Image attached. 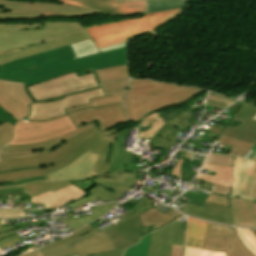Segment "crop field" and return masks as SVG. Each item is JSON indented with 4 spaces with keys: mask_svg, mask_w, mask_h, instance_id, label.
<instances>
[{
    "mask_svg": "<svg viewBox=\"0 0 256 256\" xmlns=\"http://www.w3.org/2000/svg\"><path fill=\"white\" fill-rule=\"evenodd\" d=\"M110 146L95 127L64 141L44 155L1 161L0 171L5 172L0 173V186L49 180L47 174L68 165L86 151L108 158Z\"/></svg>",
    "mask_w": 256,
    "mask_h": 256,
    "instance_id": "crop-field-1",
    "label": "crop field"
},
{
    "mask_svg": "<svg viewBox=\"0 0 256 256\" xmlns=\"http://www.w3.org/2000/svg\"><path fill=\"white\" fill-rule=\"evenodd\" d=\"M89 38L80 23L0 24V64Z\"/></svg>",
    "mask_w": 256,
    "mask_h": 256,
    "instance_id": "crop-field-2",
    "label": "crop field"
},
{
    "mask_svg": "<svg viewBox=\"0 0 256 256\" xmlns=\"http://www.w3.org/2000/svg\"><path fill=\"white\" fill-rule=\"evenodd\" d=\"M203 91L205 90L132 79L124 102L126 113L130 120L138 122L148 113L160 111L161 108L172 104L186 102Z\"/></svg>",
    "mask_w": 256,
    "mask_h": 256,
    "instance_id": "crop-field-3",
    "label": "crop field"
},
{
    "mask_svg": "<svg viewBox=\"0 0 256 256\" xmlns=\"http://www.w3.org/2000/svg\"><path fill=\"white\" fill-rule=\"evenodd\" d=\"M142 225L139 217L130 219L108 231H96L77 240L65 243L44 252L36 250L24 256H87L113 249L128 247L139 242Z\"/></svg>",
    "mask_w": 256,
    "mask_h": 256,
    "instance_id": "crop-field-4",
    "label": "crop field"
},
{
    "mask_svg": "<svg viewBox=\"0 0 256 256\" xmlns=\"http://www.w3.org/2000/svg\"><path fill=\"white\" fill-rule=\"evenodd\" d=\"M180 10L176 9L156 14H145L141 18L95 25L86 29L99 49L151 32L177 15Z\"/></svg>",
    "mask_w": 256,
    "mask_h": 256,
    "instance_id": "crop-field-5",
    "label": "crop field"
},
{
    "mask_svg": "<svg viewBox=\"0 0 256 256\" xmlns=\"http://www.w3.org/2000/svg\"><path fill=\"white\" fill-rule=\"evenodd\" d=\"M125 57L126 47L93 56H88L78 60L60 63L54 66L47 67L39 72H36L32 75L25 77L24 85L28 86L34 83L50 79L52 77H55L66 72L86 69L90 67H93L94 70H97L124 65L127 64Z\"/></svg>",
    "mask_w": 256,
    "mask_h": 256,
    "instance_id": "crop-field-6",
    "label": "crop field"
},
{
    "mask_svg": "<svg viewBox=\"0 0 256 256\" xmlns=\"http://www.w3.org/2000/svg\"><path fill=\"white\" fill-rule=\"evenodd\" d=\"M76 59L70 45L3 64L1 80L23 83V77L47 66Z\"/></svg>",
    "mask_w": 256,
    "mask_h": 256,
    "instance_id": "crop-field-7",
    "label": "crop field"
},
{
    "mask_svg": "<svg viewBox=\"0 0 256 256\" xmlns=\"http://www.w3.org/2000/svg\"><path fill=\"white\" fill-rule=\"evenodd\" d=\"M185 225L177 220L171 225L144 236L127 249L124 256H170L172 245H184Z\"/></svg>",
    "mask_w": 256,
    "mask_h": 256,
    "instance_id": "crop-field-8",
    "label": "crop field"
},
{
    "mask_svg": "<svg viewBox=\"0 0 256 256\" xmlns=\"http://www.w3.org/2000/svg\"><path fill=\"white\" fill-rule=\"evenodd\" d=\"M73 130L76 127L67 115L48 122H29L23 119L16 124L14 138L8 145L44 142Z\"/></svg>",
    "mask_w": 256,
    "mask_h": 256,
    "instance_id": "crop-field-9",
    "label": "crop field"
},
{
    "mask_svg": "<svg viewBox=\"0 0 256 256\" xmlns=\"http://www.w3.org/2000/svg\"><path fill=\"white\" fill-rule=\"evenodd\" d=\"M97 85L99 84L94 74L77 78L75 73H71L36 86L28 87V90L34 100L39 101L94 88Z\"/></svg>",
    "mask_w": 256,
    "mask_h": 256,
    "instance_id": "crop-field-10",
    "label": "crop field"
},
{
    "mask_svg": "<svg viewBox=\"0 0 256 256\" xmlns=\"http://www.w3.org/2000/svg\"><path fill=\"white\" fill-rule=\"evenodd\" d=\"M102 89L88 91L63 97L62 100L49 103H36L29 106L30 115L26 117L29 121H48L66 115L64 109L88 104L89 99L103 97Z\"/></svg>",
    "mask_w": 256,
    "mask_h": 256,
    "instance_id": "crop-field-11",
    "label": "crop field"
},
{
    "mask_svg": "<svg viewBox=\"0 0 256 256\" xmlns=\"http://www.w3.org/2000/svg\"><path fill=\"white\" fill-rule=\"evenodd\" d=\"M74 124L81 125L96 121L100 131L129 122L124 112L123 103L93 109L92 107L68 113Z\"/></svg>",
    "mask_w": 256,
    "mask_h": 256,
    "instance_id": "crop-field-12",
    "label": "crop field"
},
{
    "mask_svg": "<svg viewBox=\"0 0 256 256\" xmlns=\"http://www.w3.org/2000/svg\"><path fill=\"white\" fill-rule=\"evenodd\" d=\"M202 249L227 252V256H253L232 227L210 224Z\"/></svg>",
    "mask_w": 256,
    "mask_h": 256,
    "instance_id": "crop-field-13",
    "label": "crop field"
},
{
    "mask_svg": "<svg viewBox=\"0 0 256 256\" xmlns=\"http://www.w3.org/2000/svg\"><path fill=\"white\" fill-rule=\"evenodd\" d=\"M137 130L138 127L130 128ZM129 129L119 132L116 145L111 146L109 159L101 158L99 156L94 171L97 176L107 173L111 170L125 169L129 171H135L132 163L138 162L136 155L129 150L124 149L125 139L128 136ZM113 160V162H111Z\"/></svg>",
    "mask_w": 256,
    "mask_h": 256,
    "instance_id": "crop-field-14",
    "label": "crop field"
},
{
    "mask_svg": "<svg viewBox=\"0 0 256 256\" xmlns=\"http://www.w3.org/2000/svg\"><path fill=\"white\" fill-rule=\"evenodd\" d=\"M231 196L256 201V161L235 157Z\"/></svg>",
    "mask_w": 256,
    "mask_h": 256,
    "instance_id": "crop-field-15",
    "label": "crop field"
},
{
    "mask_svg": "<svg viewBox=\"0 0 256 256\" xmlns=\"http://www.w3.org/2000/svg\"><path fill=\"white\" fill-rule=\"evenodd\" d=\"M28 103H33L24 85L0 80V106L15 120L28 114Z\"/></svg>",
    "mask_w": 256,
    "mask_h": 256,
    "instance_id": "crop-field-16",
    "label": "crop field"
},
{
    "mask_svg": "<svg viewBox=\"0 0 256 256\" xmlns=\"http://www.w3.org/2000/svg\"><path fill=\"white\" fill-rule=\"evenodd\" d=\"M63 3L90 8L113 14L148 13L145 0H59Z\"/></svg>",
    "mask_w": 256,
    "mask_h": 256,
    "instance_id": "crop-field-17",
    "label": "crop field"
},
{
    "mask_svg": "<svg viewBox=\"0 0 256 256\" xmlns=\"http://www.w3.org/2000/svg\"><path fill=\"white\" fill-rule=\"evenodd\" d=\"M255 115L256 106L244 102L232 119L242 124H236L235 127L228 126L222 135L256 144V121L252 120Z\"/></svg>",
    "mask_w": 256,
    "mask_h": 256,
    "instance_id": "crop-field-18",
    "label": "crop field"
},
{
    "mask_svg": "<svg viewBox=\"0 0 256 256\" xmlns=\"http://www.w3.org/2000/svg\"><path fill=\"white\" fill-rule=\"evenodd\" d=\"M98 155L86 152L70 165L49 174L51 180H84L96 175L93 172Z\"/></svg>",
    "mask_w": 256,
    "mask_h": 256,
    "instance_id": "crop-field-19",
    "label": "crop field"
},
{
    "mask_svg": "<svg viewBox=\"0 0 256 256\" xmlns=\"http://www.w3.org/2000/svg\"><path fill=\"white\" fill-rule=\"evenodd\" d=\"M208 224V222L189 217L187 224L185 256H226V253L223 252L201 250L205 234L208 229Z\"/></svg>",
    "mask_w": 256,
    "mask_h": 256,
    "instance_id": "crop-field-20",
    "label": "crop field"
},
{
    "mask_svg": "<svg viewBox=\"0 0 256 256\" xmlns=\"http://www.w3.org/2000/svg\"><path fill=\"white\" fill-rule=\"evenodd\" d=\"M87 195H89L87 192L72 184L55 193L50 191L38 197L30 198L29 201L31 204H44V208L52 210Z\"/></svg>",
    "mask_w": 256,
    "mask_h": 256,
    "instance_id": "crop-field-21",
    "label": "crop field"
},
{
    "mask_svg": "<svg viewBox=\"0 0 256 256\" xmlns=\"http://www.w3.org/2000/svg\"><path fill=\"white\" fill-rule=\"evenodd\" d=\"M184 108L179 110L169 109L168 111L151 113L147 115L143 120L138 122L140 125V130L137 138L149 139L148 143L151 144L156 135L169 125L166 122L175 117Z\"/></svg>",
    "mask_w": 256,
    "mask_h": 256,
    "instance_id": "crop-field-22",
    "label": "crop field"
},
{
    "mask_svg": "<svg viewBox=\"0 0 256 256\" xmlns=\"http://www.w3.org/2000/svg\"><path fill=\"white\" fill-rule=\"evenodd\" d=\"M183 212L198 218L231 225L230 208L204 203L203 207L188 203L181 209Z\"/></svg>",
    "mask_w": 256,
    "mask_h": 256,
    "instance_id": "crop-field-23",
    "label": "crop field"
},
{
    "mask_svg": "<svg viewBox=\"0 0 256 256\" xmlns=\"http://www.w3.org/2000/svg\"><path fill=\"white\" fill-rule=\"evenodd\" d=\"M128 82L129 80H122V81L103 84L101 85V87L103 88V91L106 97L90 100L91 104L89 105L66 109V111L68 112V111L86 108L90 106H93L94 108H96L100 106L122 102V99L124 98V89L126 88Z\"/></svg>",
    "mask_w": 256,
    "mask_h": 256,
    "instance_id": "crop-field-24",
    "label": "crop field"
},
{
    "mask_svg": "<svg viewBox=\"0 0 256 256\" xmlns=\"http://www.w3.org/2000/svg\"><path fill=\"white\" fill-rule=\"evenodd\" d=\"M234 225L256 227V203L231 197Z\"/></svg>",
    "mask_w": 256,
    "mask_h": 256,
    "instance_id": "crop-field-25",
    "label": "crop field"
},
{
    "mask_svg": "<svg viewBox=\"0 0 256 256\" xmlns=\"http://www.w3.org/2000/svg\"><path fill=\"white\" fill-rule=\"evenodd\" d=\"M181 216H183V215L172 210V209H170L169 211H167L164 214L154 208V209L140 215V218H141V221L143 224L141 236L148 233L149 226H153L156 224V228L158 230L161 227L165 226L166 224L180 218Z\"/></svg>",
    "mask_w": 256,
    "mask_h": 256,
    "instance_id": "crop-field-26",
    "label": "crop field"
},
{
    "mask_svg": "<svg viewBox=\"0 0 256 256\" xmlns=\"http://www.w3.org/2000/svg\"><path fill=\"white\" fill-rule=\"evenodd\" d=\"M0 6L11 11L58 12L60 5L46 2H14L0 0Z\"/></svg>",
    "mask_w": 256,
    "mask_h": 256,
    "instance_id": "crop-field-27",
    "label": "crop field"
},
{
    "mask_svg": "<svg viewBox=\"0 0 256 256\" xmlns=\"http://www.w3.org/2000/svg\"><path fill=\"white\" fill-rule=\"evenodd\" d=\"M96 122L94 123H90V124H86V125H82V126H78L76 131L70 132L68 134L59 136L57 138H54V143L51 144L50 146H48L47 148L40 150V151H36V152H18V153H5L3 151H1L0 153V160H5V159H15V158H21V157H28V156H35V155H40L43 154L53 148H55L57 145H59L62 141L82 132L85 131L87 129H90L92 127H95ZM58 147V146H57Z\"/></svg>",
    "mask_w": 256,
    "mask_h": 256,
    "instance_id": "crop-field-28",
    "label": "crop field"
},
{
    "mask_svg": "<svg viewBox=\"0 0 256 256\" xmlns=\"http://www.w3.org/2000/svg\"><path fill=\"white\" fill-rule=\"evenodd\" d=\"M232 168L233 167L229 166L205 163L203 169L215 171L217 172V174L215 177H213L208 174L199 173L197 179L206 180L215 184L231 188Z\"/></svg>",
    "mask_w": 256,
    "mask_h": 256,
    "instance_id": "crop-field-29",
    "label": "crop field"
},
{
    "mask_svg": "<svg viewBox=\"0 0 256 256\" xmlns=\"http://www.w3.org/2000/svg\"><path fill=\"white\" fill-rule=\"evenodd\" d=\"M87 192H89L91 195L86 198H82L67 204L69 208L72 209L98 199H101L103 202L118 201L119 200L118 198L121 197V195L113 193L99 185L95 186L94 188L90 189Z\"/></svg>",
    "mask_w": 256,
    "mask_h": 256,
    "instance_id": "crop-field-30",
    "label": "crop field"
},
{
    "mask_svg": "<svg viewBox=\"0 0 256 256\" xmlns=\"http://www.w3.org/2000/svg\"><path fill=\"white\" fill-rule=\"evenodd\" d=\"M72 184L71 182H33L22 187L25 190L27 198L38 196L45 192L52 190L53 192L62 189L68 185Z\"/></svg>",
    "mask_w": 256,
    "mask_h": 256,
    "instance_id": "crop-field-31",
    "label": "crop field"
},
{
    "mask_svg": "<svg viewBox=\"0 0 256 256\" xmlns=\"http://www.w3.org/2000/svg\"><path fill=\"white\" fill-rule=\"evenodd\" d=\"M181 132L185 134V130H180L172 125H169L152 143V147L169 149L174 142L181 144L183 141L176 139V135Z\"/></svg>",
    "mask_w": 256,
    "mask_h": 256,
    "instance_id": "crop-field-32",
    "label": "crop field"
},
{
    "mask_svg": "<svg viewBox=\"0 0 256 256\" xmlns=\"http://www.w3.org/2000/svg\"><path fill=\"white\" fill-rule=\"evenodd\" d=\"M91 14H103V15H110V16H127V15L106 14V13L85 9L81 7H76L72 5H66L62 3L59 13H44V17L60 16V17L74 18L78 16L91 15Z\"/></svg>",
    "mask_w": 256,
    "mask_h": 256,
    "instance_id": "crop-field-33",
    "label": "crop field"
},
{
    "mask_svg": "<svg viewBox=\"0 0 256 256\" xmlns=\"http://www.w3.org/2000/svg\"><path fill=\"white\" fill-rule=\"evenodd\" d=\"M118 205H120V204L101 205L99 207H96V208L92 209L93 213L95 214L93 216H89V217L82 218V219H66L64 221L67 224V226L74 232L75 230L79 229L80 227H82V226L94 221L95 219L101 217L102 215L107 213L109 210H111L112 208H114Z\"/></svg>",
    "mask_w": 256,
    "mask_h": 256,
    "instance_id": "crop-field-34",
    "label": "crop field"
},
{
    "mask_svg": "<svg viewBox=\"0 0 256 256\" xmlns=\"http://www.w3.org/2000/svg\"><path fill=\"white\" fill-rule=\"evenodd\" d=\"M124 46H126V42L97 50L91 39L83 41V42L71 44V47H72L73 51L75 52L77 59L84 57V56H88V55H92V54H96V53H100V52H105V51H108L111 49L124 47Z\"/></svg>",
    "mask_w": 256,
    "mask_h": 256,
    "instance_id": "crop-field-35",
    "label": "crop field"
},
{
    "mask_svg": "<svg viewBox=\"0 0 256 256\" xmlns=\"http://www.w3.org/2000/svg\"><path fill=\"white\" fill-rule=\"evenodd\" d=\"M99 83L129 78L127 65L94 71Z\"/></svg>",
    "mask_w": 256,
    "mask_h": 256,
    "instance_id": "crop-field-36",
    "label": "crop field"
},
{
    "mask_svg": "<svg viewBox=\"0 0 256 256\" xmlns=\"http://www.w3.org/2000/svg\"><path fill=\"white\" fill-rule=\"evenodd\" d=\"M141 197H143L145 200H143L141 202H139V201H137L136 199H133V198L129 200V202H131L132 204H134L136 206L135 208L131 209L134 212L130 213V212L127 211V213L121 215V217L123 219L117 221L116 222L117 224H120V223H122V222H124V221H126V220H128L130 218H133V217H135L137 215H140V214H142V213H144V212L154 208L151 205L153 204V201H155V200H152V199L148 198L145 195H143ZM117 218L118 217H116L115 219H117ZM115 219H113V220H115Z\"/></svg>",
    "mask_w": 256,
    "mask_h": 256,
    "instance_id": "crop-field-37",
    "label": "crop field"
},
{
    "mask_svg": "<svg viewBox=\"0 0 256 256\" xmlns=\"http://www.w3.org/2000/svg\"><path fill=\"white\" fill-rule=\"evenodd\" d=\"M217 143L233 147L230 155L239 157H243L254 146V144L246 143L222 135H220V137L218 138ZM234 153H237V155H235Z\"/></svg>",
    "mask_w": 256,
    "mask_h": 256,
    "instance_id": "crop-field-38",
    "label": "crop field"
},
{
    "mask_svg": "<svg viewBox=\"0 0 256 256\" xmlns=\"http://www.w3.org/2000/svg\"><path fill=\"white\" fill-rule=\"evenodd\" d=\"M149 13L161 12L183 6V0H146Z\"/></svg>",
    "mask_w": 256,
    "mask_h": 256,
    "instance_id": "crop-field-39",
    "label": "crop field"
},
{
    "mask_svg": "<svg viewBox=\"0 0 256 256\" xmlns=\"http://www.w3.org/2000/svg\"><path fill=\"white\" fill-rule=\"evenodd\" d=\"M43 18V13L11 12L0 8V20H31Z\"/></svg>",
    "mask_w": 256,
    "mask_h": 256,
    "instance_id": "crop-field-40",
    "label": "crop field"
},
{
    "mask_svg": "<svg viewBox=\"0 0 256 256\" xmlns=\"http://www.w3.org/2000/svg\"><path fill=\"white\" fill-rule=\"evenodd\" d=\"M138 175V174H137ZM136 174L127 171H114L110 172L102 177H110V178H117L116 184H120L131 188L136 181H141V179L135 178Z\"/></svg>",
    "mask_w": 256,
    "mask_h": 256,
    "instance_id": "crop-field-41",
    "label": "crop field"
},
{
    "mask_svg": "<svg viewBox=\"0 0 256 256\" xmlns=\"http://www.w3.org/2000/svg\"><path fill=\"white\" fill-rule=\"evenodd\" d=\"M243 243L256 255V237L248 229L235 228Z\"/></svg>",
    "mask_w": 256,
    "mask_h": 256,
    "instance_id": "crop-field-42",
    "label": "crop field"
},
{
    "mask_svg": "<svg viewBox=\"0 0 256 256\" xmlns=\"http://www.w3.org/2000/svg\"><path fill=\"white\" fill-rule=\"evenodd\" d=\"M92 231H94V229L92 228V226H91V224H90V225H88V226L82 228L81 230H79V231L73 233L72 235H70V236L67 237V238H64V239L59 240V241H57V242H55V243H53V244H50V245H47V246L41 248V251L47 250V249H49V248L55 247V246H57V245L63 244V243H65V242H68V241H71V240H74V239H77V238H79L80 236L86 235V234H88V233H90V232H92Z\"/></svg>",
    "mask_w": 256,
    "mask_h": 256,
    "instance_id": "crop-field-43",
    "label": "crop field"
},
{
    "mask_svg": "<svg viewBox=\"0 0 256 256\" xmlns=\"http://www.w3.org/2000/svg\"><path fill=\"white\" fill-rule=\"evenodd\" d=\"M53 140L48 142L39 143V144H31V145H23V146H6L3 151L5 152H18V151H36L43 149L50 145Z\"/></svg>",
    "mask_w": 256,
    "mask_h": 256,
    "instance_id": "crop-field-44",
    "label": "crop field"
},
{
    "mask_svg": "<svg viewBox=\"0 0 256 256\" xmlns=\"http://www.w3.org/2000/svg\"><path fill=\"white\" fill-rule=\"evenodd\" d=\"M192 116L193 114L182 111L179 115L167 123L172 124L180 129H185L186 127H192V125L186 123Z\"/></svg>",
    "mask_w": 256,
    "mask_h": 256,
    "instance_id": "crop-field-45",
    "label": "crop field"
},
{
    "mask_svg": "<svg viewBox=\"0 0 256 256\" xmlns=\"http://www.w3.org/2000/svg\"><path fill=\"white\" fill-rule=\"evenodd\" d=\"M13 125L9 122H5L0 125V150L10 141L12 138Z\"/></svg>",
    "mask_w": 256,
    "mask_h": 256,
    "instance_id": "crop-field-46",
    "label": "crop field"
},
{
    "mask_svg": "<svg viewBox=\"0 0 256 256\" xmlns=\"http://www.w3.org/2000/svg\"><path fill=\"white\" fill-rule=\"evenodd\" d=\"M121 128H123V127L115 128V129H112L110 131L101 132L103 139H105L106 141H108L111 144H115L117 136H118L119 129H121Z\"/></svg>",
    "mask_w": 256,
    "mask_h": 256,
    "instance_id": "crop-field-47",
    "label": "crop field"
},
{
    "mask_svg": "<svg viewBox=\"0 0 256 256\" xmlns=\"http://www.w3.org/2000/svg\"><path fill=\"white\" fill-rule=\"evenodd\" d=\"M26 216L24 210H1L0 209V218H15Z\"/></svg>",
    "mask_w": 256,
    "mask_h": 256,
    "instance_id": "crop-field-48",
    "label": "crop field"
},
{
    "mask_svg": "<svg viewBox=\"0 0 256 256\" xmlns=\"http://www.w3.org/2000/svg\"><path fill=\"white\" fill-rule=\"evenodd\" d=\"M19 240H21V239L17 234H15L11 237L3 238L0 240V249L3 250Z\"/></svg>",
    "mask_w": 256,
    "mask_h": 256,
    "instance_id": "crop-field-49",
    "label": "crop field"
},
{
    "mask_svg": "<svg viewBox=\"0 0 256 256\" xmlns=\"http://www.w3.org/2000/svg\"><path fill=\"white\" fill-rule=\"evenodd\" d=\"M194 156H195L194 153L187 152V154L183 160L182 167L191 168L192 166H199L200 162L191 160V158H194Z\"/></svg>",
    "mask_w": 256,
    "mask_h": 256,
    "instance_id": "crop-field-50",
    "label": "crop field"
},
{
    "mask_svg": "<svg viewBox=\"0 0 256 256\" xmlns=\"http://www.w3.org/2000/svg\"><path fill=\"white\" fill-rule=\"evenodd\" d=\"M195 175L196 172L192 173V169L181 168V180L190 182Z\"/></svg>",
    "mask_w": 256,
    "mask_h": 256,
    "instance_id": "crop-field-51",
    "label": "crop field"
},
{
    "mask_svg": "<svg viewBox=\"0 0 256 256\" xmlns=\"http://www.w3.org/2000/svg\"><path fill=\"white\" fill-rule=\"evenodd\" d=\"M15 233L16 232L13 225L0 227V239L3 237L11 236Z\"/></svg>",
    "mask_w": 256,
    "mask_h": 256,
    "instance_id": "crop-field-52",
    "label": "crop field"
},
{
    "mask_svg": "<svg viewBox=\"0 0 256 256\" xmlns=\"http://www.w3.org/2000/svg\"><path fill=\"white\" fill-rule=\"evenodd\" d=\"M92 179L84 180V181H77V182H72V183L87 191V190H89L90 188H92L96 185V184L91 182Z\"/></svg>",
    "mask_w": 256,
    "mask_h": 256,
    "instance_id": "crop-field-53",
    "label": "crop field"
},
{
    "mask_svg": "<svg viewBox=\"0 0 256 256\" xmlns=\"http://www.w3.org/2000/svg\"><path fill=\"white\" fill-rule=\"evenodd\" d=\"M3 195L7 196V195H25V194L22 188H18V189L0 191V196H3Z\"/></svg>",
    "mask_w": 256,
    "mask_h": 256,
    "instance_id": "crop-field-54",
    "label": "crop field"
},
{
    "mask_svg": "<svg viewBox=\"0 0 256 256\" xmlns=\"http://www.w3.org/2000/svg\"><path fill=\"white\" fill-rule=\"evenodd\" d=\"M1 70H2V67H0V71ZM0 121H1V123L5 122V121H9L12 124H14L16 122L1 107H0Z\"/></svg>",
    "mask_w": 256,
    "mask_h": 256,
    "instance_id": "crop-field-55",
    "label": "crop field"
},
{
    "mask_svg": "<svg viewBox=\"0 0 256 256\" xmlns=\"http://www.w3.org/2000/svg\"><path fill=\"white\" fill-rule=\"evenodd\" d=\"M126 248L119 249V250H113L110 252L102 253V254H96V255H91V256H122L123 253L125 252Z\"/></svg>",
    "mask_w": 256,
    "mask_h": 256,
    "instance_id": "crop-field-56",
    "label": "crop field"
},
{
    "mask_svg": "<svg viewBox=\"0 0 256 256\" xmlns=\"http://www.w3.org/2000/svg\"><path fill=\"white\" fill-rule=\"evenodd\" d=\"M230 190L231 189H229V188H225V187L213 184V186H212L210 191L218 192V193H222V194H226V195H230Z\"/></svg>",
    "mask_w": 256,
    "mask_h": 256,
    "instance_id": "crop-field-57",
    "label": "crop field"
},
{
    "mask_svg": "<svg viewBox=\"0 0 256 256\" xmlns=\"http://www.w3.org/2000/svg\"><path fill=\"white\" fill-rule=\"evenodd\" d=\"M184 246H173L171 256H182Z\"/></svg>",
    "mask_w": 256,
    "mask_h": 256,
    "instance_id": "crop-field-58",
    "label": "crop field"
},
{
    "mask_svg": "<svg viewBox=\"0 0 256 256\" xmlns=\"http://www.w3.org/2000/svg\"><path fill=\"white\" fill-rule=\"evenodd\" d=\"M128 190V188H125L123 186H120V185H114L113 188H112V191L116 192V193H119L121 195H125L124 193Z\"/></svg>",
    "mask_w": 256,
    "mask_h": 256,
    "instance_id": "crop-field-59",
    "label": "crop field"
},
{
    "mask_svg": "<svg viewBox=\"0 0 256 256\" xmlns=\"http://www.w3.org/2000/svg\"><path fill=\"white\" fill-rule=\"evenodd\" d=\"M207 104L211 105V106H214V107H217V108L222 109V110L225 109L226 107H228V105L221 104V103L209 100V99L207 100Z\"/></svg>",
    "mask_w": 256,
    "mask_h": 256,
    "instance_id": "crop-field-60",
    "label": "crop field"
},
{
    "mask_svg": "<svg viewBox=\"0 0 256 256\" xmlns=\"http://www.w3.org/2000/svg\"><path fill=\"white\" fill-rule=\"evenodd\" d=\"M93 182H95V183H97L99 185H102V186H104V187H106V188H108L110 190H111V188H112V186L114 184L112 182L101 181V180H96V179H93Z\"/></svg>",
    "mask_w": 256,
    "mask_h": 256,
    "instance_id": "crop-field-61",
    "label": "crop field"
},
{
    "mask_svg": "<svg viewBox=\"0 0 256 256\" xmlns=\"http://www.w3.org/2000/svg\"><path fill=\"white\" fill-rule=\"evenodd\" d=\"M244 158L256 159V145L244 156Z\"/></svg>",
    "mask_w": 256,
    "mask_h": 256,
    "instance_id": "crop-field-62",
    "label": "crop field"
},
{
    "mask_svg": "<svg viewBox=\"0 0 256 256\" xmlns=\"http://www.w3.org/2000/svg\"><path fill=\"white\" fill-rule=\"evenodd\" d=\"M116 225H117V224H116ZM116 225H115V226H116ZM111 227H114V226L109 225V226H107V227H105V228H103V229H101V230H99L98 227H97V228H95V230H96L98 233H100V232L105 231V230H107V229H109V228H111Z\"/></svg>",
    "mask_w": 256,
    "mask_h": 256,
    "instance_id": "crop-field-63",
    "label": "crop field"
},
{
    "mask_svg": "<svg viewBox=\"0 0 256 256\" xmlns=\"http://www.w3.org/2000/svg\"><path fill=\"white\" fill-rule=\"evenodd\" d=\"M96 179H101V180H107V181H113V182H116V179H110V178L97 177Z\"/></svg>",
    "mask_w": 256,
    "mask_h": 256,
    "instance_id": "crop-field-64",
    "label": "crop field"
},
{
    "mask_svg": "<svg viewBox=\"0 0 256 256\" xmlns=\"http://www.w3.org/2000/svg\"><path fill=\"white\" fill-rule=\"evenodd\" d=\"M101 219H99V220H97V221H95V222H93V223H91L92 224V226H93V228L94 227H96V226H98V225H100V224H102V223H104V222H102V223H100L99 224V222L98 221H100Z\"/></svg>",
    "mask_w": 256,
    "mask_h": 256,
    "instance_id": "crop-field-65",
    "label": "crop field"
},
{
    "mask_svg": "<svg viewBox=\"0 0 256 256\" xmlns=\"http://www.w3.org/2000/svg\"><path fill=\"white\" fill-rule=\"evenodd\" d=\"M141 190L144 191V192H146V193H148V194L151 193L150 191L146 190L145 187H142Z\"/></svg>",
    "mask_w": 256,
    "mask_h": 256,
    "instance_id": "crop-field-66",
    "label": "crop field"
},
{
    "mask_svg": "<svg viewBox=\"0 0 256 256\" xmlns=\"http://www.w3.org/2000/svg\"><path fill=\"white\" fill-rule=\"evenodd\" d=\"M155 182V181H154ZM155 183H157V182H155ZM154 187V191H156V190H158L159 189V186H157L156 184L153 186Z\"/></svg>",
    "mask_w": 256,
    "mask_h": 256,
    "instance_id": "crop-field-67",
    "label": "crop field"
},
{
    "mask_svg": "<svg viewBox=\"0 0 256 256\" xmlns=\"http://www.w3.org/2000/svg\"><path fill=\"white\" fill-rule=\"evenodd\" d=\"M252 232L256 235V230H253Z\"/></svg>",
    "mask_w": 256,
    "mask_h": 256,
    "instance_id": "crop-field-68",
    "label": "crop field"
},
{
    "mask_svg": "<svg viewBox=\"0 0 256 256\" xmlns=\"http://www.w3.org/2000/svg\"><path fill=\"white\" fill-rule=\"evenodd\" d=\"M253 118H254V117H253ZM255 118H256V116H255ZM255 118H254V119H255ZM255 120H256V119H255Z\"/></svg>",
    "mask_w": 256,
    "mask_h": 256,
    "instance_id": "crop-field-69",
    "label": "crop field"
},
{
    "mask_svg": "<svg viewBox=\"0 0 256 256\" xmlns=\"http://www.w3.org/2000/svg\"><path fill=\"white\" fill-rule=\"evenodd\" d=\"M77 256V255H76Z\"/></svg>",
    "mask_w": 256,
    "mask_h": 256,
    "instance_id": "crop-field-70",
    "label": "crop field"
}]
</instances>
